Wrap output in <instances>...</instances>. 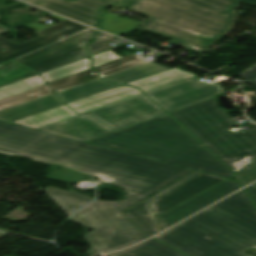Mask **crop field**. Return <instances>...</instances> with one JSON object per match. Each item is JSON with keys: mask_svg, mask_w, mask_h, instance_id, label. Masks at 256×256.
Returning a JSON list of instances; mask_svg holds the SVG:
<instances>
[{"mask_svg": "<svg viewBox=\"0 0 256 256\" xmlns=\"http://www.w3.org/2000/svg\"><path fill=\"white\" fill-rule=\"evenodd\" d=\"M0 151L101 173L126 192L122 202L96 200L72 214V221L93 229L83 236L92 246L89 256L145 239L121 212L192 172L4 122H0Z\"/></svg>", "mask_w": 256, "mask_h": 256, "instance_id": "1", "label": "crop field"}, {"mask_svg": "<svg viewBox=\"0 0 256 256\" xmlns=\"http://www.w3.org/2000/svg\"><path fill=\"white\" fill-rule=\"evenodd\" d=\"M82 23L99 28V8L82 2L69 4L24 0ZM129 1V0H127ZM237 3L230 0H134L126 8L150 17L138 30L175 39L189 49L204 53L210 45L193 41L197 33L224 35L232 25Z\"/></svg>", "mask_w": 256, "mask_h": 256, "instance_id": "2", "label": "crop field"}, {"mask_svg": "<svg viewBox=\"0 0 256 256\" xmlns=\"http://www.w3.org/2000/svg\"><path fill=\"white\" fill-rule=\"evenodd\" d=\"M155 238L190 256H248L243 252L256 247V208L241 190Z\"/></svg>", "mask_w": 256, "mask_h": 256, "instance_id": "3", "label": "crop field"}, {"mask_svg": "<svg viewBox=\"0 0 256 256\" xmlns=\"http://www.w3.org/2000/svg\"><path fill=\"white\" fill-rule=\"evenodd\" d=\"M90 142L227 178L234 175L167 114Z\"/></svg>", "mask_w": 256, "mask_h": 256, "instance_id": "4", "label": "crop field"}, {"mask_svg": "<svg viewBox=\"0 0 256 256\" xmlns=\"http://www.w3.org/2000/svg\"><path fill=\"white\" fill-rule=\"evenodd\" d=\"M235 173L256 159V125L233 133L237 123L222 109L215 97L170 112ZM198 139V140H199Z\"/></svg>", "mask_w": 256, "mask_h": 256, "instance_id": "5", "label": "crop field"}, {"mask_svg": "<svg viewBox=\"0 0 256 256\" xmlns=\"http://www.w3.org/2000/svg\"><path fill=\"white\" fill-rule=\"evenodd\" d=\"M96 32L88 28L13 60L39 73L48 71L89 57L83 43L92 38ZM34 75L37 74L13 63L0 70V87Z\"/></svg>", "mask_w": 256, "mask_h": 256, "instance_id": "6", "label": "crop field"}, {"mask_svg": "<svg viewBox=\"0 0 256 256\" xmlns=\"http://www.w3.org/2000/svg\"><path fill=\"white\" fill-rule=\"evenodd\" d=\"M219 83L212 84L194 77L147 93L168 112L213 97L222 92Z\"/></svg>", "mask_w": 256, "mask_h": 256, "instance_id": "7", "label": "crop field"}, {"mask_svg": "<svg viewBox=\"0 0 256 256\" xmlns=\"http://www.w3.org/2000/svg\"><path fill=\"white\" fill-rule=\"evenodd\" d=\"M89 113L119 130L165 113V111L142 94Z\"/></svg>", "mask_w": 256, "mask_h": 256, "instance_id": "8", "label": "crop field"}, {"mask_svg": "<svg viewBox=\"0 0 256 256\" xmlns=\"http://www.w3.org/2000/svg\"><path fill=\"white\" fill-rule=\"evenodd\" d=\"M242 187L240 183L224 180L208 190L198 193L199 195L185 201L184 203L162 213L160 216L162 230Z\"/></svg>", "mask_w": 256, "mask_h": 256, "instance_id": "9", "label": "crop field"}, {"mask_svg": "<svg viewBox=\"0 0 256 256\" xmlns=\"http://www.w3.org/2000/svg\"><path fill=\"white\" fill-rule=\"evenodd\" d=\"M86 28L88 27L66 20L35 32L36 34L40 35L39 38L27 41L20 45H17L0 36V50L3 47H7L6 51L0 52V63L19 57L20 55L26 54Z\"/></svg>", "mask_w": 256, "mask_h": 256, "instance_id": "10", "label": "crop field"}, {"mask_svg": "<svg viewBox=\"0 0 256 256\" xmlns=\"http://www.w3.org/2000/svg\"><path fill=\"white\" fill-rule=\"evenodd\" d=\"M225 178L202 173L190 181L184 183L178 188L151 202L156 214L162 212L184 202L185 200L197 195L198 193L208 189Z\"/></svg>", "mask_w": 256, "mask_h": 256, "instance_id": "11", "label": "crop field"}, {"mask_svg": "<svg viewBox=\"0 0 256 256\" xmlns=\"http://www.w3.org/2000/svg\"><path fill=\"white\" fill-rule=\"evenodd\" d=\"M90 115V114H89ZM88 114L64 120L40 130L87 141L90 138L113 131Z\"/></svg>", "mask_w": 256, "mask_h": 256, "instance_id": "12", "label": "crop field"}, {"mask_svg": "<svg viewBox=\"0 0 256 256\" xmlns=\"http://www.w3.org/2000/svg\"><path fill=\"white\" fill-rule=\"evenodd\" d=\"M201 172H194L181 180L177 181L176 183L172 184L171 186L165 188L164 190L160 191L159 193L153 195L152 197L148 198L147 200L135 205L134 207L126 210L123 214L137 227V229L146 237H150L159 232L158 223L154 217L151 215L153 214V209L150 205V202L157 199L158 197L164 195L165 193L171 191L172 189L178 187L179 185L183 184L184 182L190 180L191 178L195 177L196 175L200 174Z\"/></svg>", "mask_w": 256, "mask_h": 256, "instance_id": "13", "label": "crop field"}, {"mask_svg": "<svg viewBox=\"0 0 256 256\" xmlns=\"http://www.w3.org/2000/svg\"><path fill=\"white\" fill-rule=\"evenodd\" d=\"M139 94H142L140 90L122 85L67 105L78 114H83Z\"/></svg>", "mask_w": 256, "mask_h": 256, "instance_id": "14", "label": "crop field"}, {"mask_svg": "<svg viewBox=\"0 0 256 256\" xmlns=\"http://www.w3.org/2000/svg\"><path fill=\"white\" fill-rule=\"evenodd\" d=\"M60 105H63V103L55 94H53L26 104L0 111V119L12 122Z\"/></svg>", "mask_w": 256, "mask_h": 256, "instance_id": "15", "label": "crop field"}, {"mask_svg": "<svg viewBox=\"0 0 256 256\" xmlns=\"http://www.w3.org/2000/svg\"><path fill=\"white\" fill-rule=\"evenodd\" d=\"M194 76L196 75L188 71H181L177 68H174V69H170V70L149 76L147 78L129 83L127 85L139 87L145 93H147L151 90H154L172 83H176Z\"/></svg>", "mask_w": 256, "mask_h": 256, "instance_id": "16", "label": "crop field"}, {"mask_svg": "<svg viewBox=\"0 0 256 256\" xmlns=\"http://www.w3.org/2000/svg\"><path fill=\"white\" fill-rule=\"evenodd\" d=\"M76 115V113L64 105L15 121L13 123L39 129Z\"/></svg>", "mask_w": 256, "mask_h": 256, "instance_id": "17", "label": "crop field"}, {"mask_svg": "<svg viewBox=\"0 0 256 256\" xmlns=\"http://www.w3.org/2000/svg\"><path fill=\"white\" fill-rule=\"evenodd\" d=\"M119 85L121 84L110 83L102 79H98L67 90L57 92V94L64 101V103L67 104Z\"/></svg>", "mask_w": 256, "mask_h": 256, "instance_id": "18", "label": "crop field"}, {"mask_svg": "<svg viewBox=\"0 0 256 256\" xmlns=\"http://www.w3.org/2000/svg\"><path fill=\"white\" fill-rule=\"evenodd\" d=\"M106 256H185L162 243L150 239L142 244Z\"/></svg>", "mask_w": 256, "mask_h": 256, "instance_id": "19", "label": "crop field"}, {"mask_svg": "<svg viewBox=\"0 0 256 256\" xmlns=\"http://www.w3.org/2000/svg\"><path fill=\"white\" fill-rule=\"evenodd\" d=\"M45 194L48 195L67 215L92 200V198L76 192L65 191L54 187H47Z\"/></svg>", "mask_w": 256, "mask_h": 256, "instance_id": "20", "label": "crop field"}, {"mask_svg": "<svg viewBox=\"0 0 256 256\" xmlns=\"http://www.w3.org/2000/svg\"><path fill=\"white\" fill-rule=\"evenodd\" d=\"M170 68L149 62L128 70H124L106 77H103L107 80L126 84L144 77H147L149 75L167 70Z\"/></svg>", "mask_w": 256, "mask_h": 256, "instance_id": "21", "label": "crop field"}, {"mask_svg": "<svg viewBox=\"0 0 256 256\" xmlns=\"http://www.w3.org/2000/svg\"><path fill=\"white\" fill-rule=\"evenodd\" d=\"M50 94H53V92L45 84L37 88L0 100V110L26 103Z\"/></svg>", "mask_w": 256, "mask_h": 256, "instance_id": "22", "label": "crop field"}, {"mask_svg": "<svg viewBox=\"0 0 256 256\" xmlns=\"http://www.w3.org/2000/svg\"><path fill=\"white\" fill-rule=\"evenodd\" d=\"M89 63L90 57L50 70L48 72L42 73L41 75L46 80V82L49 83L67 77L69 75L90 69Z\"/></svg>", "mask_w": 256, "mask_h": 256, "instance_id": "23", "label": "crop field"}, {"mask_svg": "<svg viewBox=\"0 0 256 256\" xmlns=\"http://www.w3.org/2000/svg\"><path fill=\"white\" fill-rule=\"evenodd\" d=\"M139 24L140 22L127 18H118L105 12L102 29L119 36L121 34L128 33L136 28Z\"/></svg>", "mask_w": 256, "mask_h": 256, "instance_id": "24", "label": "crop field"}, {"mask_svg": "<svg viewBox=\"0 0 256 256\" xmlns=\"http://www.w3.org/2000/svg\"><path fill=\"white\" fill-rule=\"evenodd\" d=\"M98 79L97 75L94 70L90 69L70 77L49 83L50 87L53 89L54 92L66 89L78 84H82L91 80Z\"/></svg>", "mask_w": 256, "mask_h": 256, "instance_id": "25", "label": "crop field"}, {"mask_svg": "<svg viewBox=\"0 0 256 256\" xmlns=\"http://www.w3.org/2000/svg\"><path fill=\"white\" fill-rule=\"evenodd\" d=\"M145 62L142 58L137 56L136 54L121 58L112 62H109L107 64L95 67V70L99 72L100 77L112 72H116L131 66H134L136 64Z\"/></svg>", "mask_w": 256, "mask_h": 256, "instance_id": "26", "label": "crop field"}, {"mask_svg": "<svg viewBox=\"0 0 256 256\" xmlns=\"http://www.w3.org/2000/svg\"><path fill=\"white\" fill-rule=\"evenodd\" d=\"M45 84L40 75L0 88V99Z\"/></svg>", "mask_w": 256, "mask_h": 256, "instance_id": "27", "label": "crop field"}, {"mask_svg": "<svg viewBox=\"0 0 256 256\" xmlns=\"http://www.w3.org/2000/svg\"><path fill=\"white\" fill-rule=\"evenodd\" d=\"M61 170H63V172H61ZM61 170L50 176L48 179L77 183L88 176V174L78 172L67 167L62 168Z\"/></svg>", "mask_w": 256, "mask_h": 256, "instance_id": "28", "label": "crop field"}, {"mask_svg": "<svg viewBox=\"0 0 256 256\" xmlns=\"http://www.w3.org/2000/svg\"><path fill=\"white\" fill-rule=\"evenodd\" d=\"M45 2H48L50 0H42ZM55 1H61V2H69V3H78V2H88L90 4L96 5L101 8L97 18L101 19L102 16V11L107 7V6H124L127 4V1L124 0H55Z\"/></svg>", "mask_w": 256, "mask_h": 256, "instance_id": "29", "label": "crop field"}, {"mask_svg": "<svg viewBox=\"0 0 256 256\" xmlns=\"http://www.w3.org/2000/svg\"><path fill=\"white\" fill-rule=\"evenodd\" d=\"M112 37L114 36L99 32V34L96 35V42H94V44L87 47L90 50L91 55L114 48L113 46L106 43Z\"/></svg>", "mask_w": 256, "mask_h": 256, "instance_id": "30", "label": "crop field"}, {"mask_svg": "<svg viewBox=\"0 0 256 256\" xmlns=\"http://www.w3.org/2000/svg\"><path fill=\"white\" fill-rule=\"evenodd\" d=\"M236 179L242 181L243 185H247L256 180V160L240 170L237 175Z\"/></svg>", "mask_w": 256, "mask_h": 256, "instance_id": "31", "label": "crop field"}, {"mask_svg": "<svg viewBox=\"0 0 256 256\" xmlns=\"http://www.w3.org/2000/svg\"><path fill=\"white\" fill-rule=\"evenodd\" d=\"M118 58H121V56L115 55V53L108 50V51L102 52L100 54L94 55L92 66L95 67V66L107 63L109 61H112V60H115Z\"/></svg>", "mask_w": 256, "mask_h": 256, "instance_id": "32", "label": "crop field"}, {"mask_svg": "<svg viewBox=\"0 0 256 256\" xmlns=\"http://www.w3.org/2000/svg\"><path fill=\"white\" fill-rule=\"evenodd\" d=\"M220 37H222V36L207 37L205 35L198 34V35H196L194 40L197 42L213 45Z\"/></svg>", "mask_w": 256, "mask_h": 256, "instance_id": "33", "label": "crop field"}, {"mask_svg": "<svg viewBox=\"0 0 256 256\" xmlns=\"http://www.w3.org/2000/svg\"><path fill=\"white\" fill-rule=\"evenodd\" d=\"M245 80L250 81L256 78V65L240 74Z\"/></svg>", "mask_w": 256, "mask_h": 256, "instance_id": "34", "label": "crop field"}, {"mask_svg": "<svg viewBox=\"0 0 256 256\" xmlns=\"http://www.w3.org/2000/svg\"><path fill=\"white\" fill-rule=\"evenodd\" d=\"M249 195L251 196V198L253 199L254 203L256 204V187H248L246 188Z\"/></svg>", "mask_w": 256, "mask_h": 256, "instance_id": "35", "label": "crop field"}, {"mask_svg": "<svg viewBox=\"0 0 256 256\" xmlns=\"http://www.w3.org/2000/svg\"><path fill=\"white\" fill-rule=\"evenodd\" d=\"M234 1L243 2V3H246V4L256 6V0H234Z\"/></svg>", "mask_w": 256, "mask_h": 256, "instance_id": "36", "label": "crop field"}, {"mask_svg": "<svg viewBox=\"0 0 256 256\" xmlns=\"http://www.w3.org/2000/svg\"><path fill=\"white\" fill-rule=\"evenodd\" d=\"M92 175H94V176H96V177H98V178H100V179H102V180H104L108 183L111 181L108 177H106L104 175H101V174H92Z\"/></svg>", "mask_w": 256, "mask_h": 256, "instance_id": "37", "label": "crop field"}, {"mask_svg": "<svg viewBox=\"0 0 256 256\" xmlns=\"http://www.w3.org/2000/svg\"><path fill=\"white\" fill-rule=\"evenodd\" d=\"M7 30H10V29H8V28H6V27L0 25V33H1V32H4V31H7Z\"/></svg>", "mask_w": 256, "mask_h": 256, "instance_id": "38", "label": "crop field"}, {"mask_svg": "<svg viewBox=\"0 0 256 256\" xmlns=\"http://www.w3.org/2000/svg\"><path fill=\"white\" fill-rule=\"evenodd\" d=\"M11 63H13V61H9V62H7V63L1 65V66H0V69L3 68V67H5V66H7V65H9V64H11Z\"/></svg>", "mask_w": 256, "mask_h": 256, "instance_id": "39", "label": "crop field"}, {"mask_svg": "<svg viewBox=\"0 0 256 256\" xmlns=\"http://www.w3.org/2000/svg\"><path fill=\"white\" fill-rule=\"evenodd\" d=\"M251 83H254V84H256V80H255V81H253V82H251Z\"/></svg>", "mask_w": 256, "mask_h": 256, "instance_id": "40", "label": "crop field"}, {"mask_svg": "<svg viewBox=\"0 0 256 256\" xmlns=\"http://www.w3.org/2000/svg\"><path fill=\"white\" fill-rule=\"evenodd\" d=\"M254 185H256V183H254Z\"/></svg>", "mask_w": 256, "mask_h": 256, "instance_id": "41", "label": "crop field"}]
</instances>
